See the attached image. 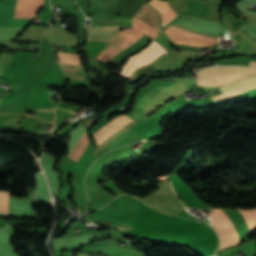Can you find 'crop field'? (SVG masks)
I'll return each mask as SVG.
<instances>
[{"label":"crop field","mask_w":256,"mask_h":256,"mask_svg":"<svg viewBox=\"0 0 256 256\" xmlns=\"http://www.w3.org/2000/svg\"><path fill=\"white\" fill-rule=\"evenodd\" d=\"M221 217L226 216L223 209L217 210ZM214 211L210 213V219L213 223V227L220 237V248L219 250L226 249L228 247L238 245V234L230 219L226 216L221 218L220 215ZM247 220L251 231L256 229V209L250 211L240 210ZM218 250V251H219Z\"/></svg>","instance_id":"crop-field-1"},{"label":"crop field","mask_w":256,"mask_h":256,"mask_svg":"<svg viewBox=\"0 0 256 256\" xmlns=\"http://www.w3.org/2000/svg\"><path fill=\"white\" fill-rule=\"evenodd\" d=\"M222 73H241L251 75L256 73V69L248 68V67H237V66H224V67H211L205 68L197 73H195L196 80L203 79L212 74H222ZM246 75L240 74H222V75H213L207 77L197 83L199 85H207V86H216L218 84H227L231 81L244 77Z\"/></svg>","instance_id":"crop-field-2"},{"label":"crop field","mask_w":256,"mask_h":256,"mask_svg":"<svg viewBox=\"0 0 256 256\" xmlns=\"http://www.w3.org/2000/svg\"><path fill=\"white\" fill-rule=\"evenodd\" d=\"M165 87H156L153 90H151L148 94H146L141 101L137 104L136 109L139 110H143V108L146 106V104L162 89H164ZM185 88L184 85L177 83L174 84L162 91H160L149 103L148 105L145 107L144 112L150 114L152 113L154 110H156L157 105L162 102L166 97H168L169 95H171L172 93ZM187 91V88L182 89L174 94H172L171 96H169L168 98H166L161 104L165 103L166 101H168L169 99L175 97L176 95ZM159 104V106L161 105ZM158 106V107H159Z\"/></svg>","instance_id":"crop-field-3"},{"label":"crop field","mask_w":256,"mask_h":256,"mask_svg":"<svg viewBox=\"0 0 256 256\" xmlns=\"http://www.w3.org/2000/svg\"><path fill=\"white\" fill-rule=\"evenodd\" d=\"M131 119L127 118L125 115H122L120 117H116L114 120H112L110 123H108L106 126L101 128L99 131H97L95 134H93V138L96 141L97 145H100L104 140L109 138L111 135H113L115 132H117L119 129H121L123 126H125L127 123H129ZM138 122L132 121L128 125H126L124 128H122L120 131H118L116 134H114L112 137L104 141L96 150L94 153V156L103 149L109 142H111L113 139L118 137L120 134L125 132L128 128H130L132 125L136 124Z\"/></svg>","instance_id":"crop-field-4"},{"label":"crop field","mask_w":256,"mask_h":256,"mask_svg":"<svg viewBox=\"0 0 256 256\" xmlns=\"http://www.w3.org/2000/svg\"><path fill=\"white\" fill-rule=\"evenodd\" d=\"M166 52L167 51L160 44H158L156 41L153 40L147 48L131 56L127 60L121 73L130 77L132 72L136 68L153 61L158 56Z\"/></svg>","instance_id":"crop-field-5"},{"label":"crop field","mask_w":256,"mask_h":256,"mask_svg":"<svg viewBox=\"0 0 256 256\" xmlns=\"http://www.w3.org/2000/svg\"><path fill=\"white\" fill-rule=\"evenodd\" d=\"M253 81H256V75L255 76H250V77H248L246 79H242V80H239V81H237L235 83H232V84H229L227 86H224V87L220 88V91L225 93V92H227L229 90H232L234 88L240 87L242 85L248 84V83L253 82ZM252 88H256V82H253L251 84H248V85H245L243 87L237 88L235 90L229 91V92H227L225 94L212 97L211 99L213 101L227 99V98L233 97L235 95H238V94H240L242 92H245V91H247L249 89H252Z\"/></svg>","instance_id":"crop-field-6"},{"label":"crop field","mask_w":256,"mask_h":256,"mask_svg":"<svg viewBox=\"0 0 256 256\" xmlns=\"http://www.w3.org/2000/svg\"><path fill=\"white\" fill-rule=\"evenodd\" d=\"M44 0H16L14 18H35Z\"/></svg>","instance_id":"crop-field-7"},{"label":"crop field","mask_w":256,"mask_h":256,"mask_svg":"<svg viewBox=\"0 0 256 256\" xmlns=\"http://www.w3.org/2000/svg\"><path fill=\"white\" fill-rule=\"evenodd\" d=\"M120 27H99L98 30L95 28H86L88 40H102L110 42L112 38L118 33Z\"/></svg>","instance_id":"crop-field-8"},{"label":"crop field","mask_w":256,"mask_h":256,"mask_svg":"<svg viewBox=\"0 0 256 256\" xmlns=\"http://www.w3.org/2000/svg\"><path fill=\"white\" fill-rule=\"evenodd\" d=\"M135 17L146 21L158 33L161 32L160 19H159L158 14L153 9H151L149 6H147L146 4L140 9V11L137 13V15Z\"/></svg>","instance_id":"crop-field-9"},{"label":"crop field","mask_w":256,"mask_h":256,"mask_svg":"<svg viewBox=\"0 0 256 256\" xmlns=\"http://www.w3.org/2000/svg\"><path fill=\"white\" fill-rule=\"evenodd\" d=\"M150 6L155 8L161 16L162 26L172 20L177 14L169 7L167 2H161L159 0H151L148 2Z\"/></svg>","instance_id":"crop-field-10"},{"label":"crop field","mask_w":256,"mask_h":256,"mask_svg":"<svg viewBox=\"0 0 256 256\" xmlns=\"http://www.w3.org/2000/svg\"><path fill=\"white\" fill-rule=\"evenodd\" d=\"M56 52H57V56L59 59L58 63L81 65V59H80L79 55L62 53V52H58V51H56Z\"/></svg>","instance_id":"crop-field-11"},{"label":"crop field","mask_w":256,"mask_h":256,"mask_svg":"<svg viewBox=\"0 0 256 256\" xmlns=\"http://www.w3.org/2000/svg\"><path fill=\"white\" fill-rule=\"evenodd\" d=\"M64 74L68 78L83 79L81 75V66L63 65L59 64ZM84 80V79H83Z\"/></svg>","instance_id":"crop-field-12"},{"label":"crop field","mask_w":256,"mask_h":256,"mask_svg":"<svg viewBox=\"0 0 256 256\" xmlns=\"http://www.w3.org/2000/svg\"><path fill=\"white\" fill-rule=\"evenodd\" d=\"M0 213L10 214L9 192L0 191Z\"/></svg>","instance_id":"crop-field-13"},{"label":"crop field","mask_w":256,"mask_h":256,"mask_svg":"<svg viewBox=\"0 0 256 256\" xmlns=\"http://www.w3.org/2000/svg\"><path fill=\"white\" fill-rule=\"evenodd\" d=\"M125 39H123L121 36H117L113 41L112 44L118 46L120 43H122Z\"/></svg>","instance_id":"crop-field-14"},{"label":"crop field","mask_w":256,"mask_h":256,"mask_svg":"<svg viewBox=\"0 0 256 256\" xmlns=\"http://www.w3.org/2000/svg\"><path fill=\"white\" fill-rule=\"evenodd\" d=\"M176 40L180 37L177 33H175L171 28L167 30ZM213 44V43H211ZM210 45V44H209Z\"/></svg>","instance_id":"crop-field-15"},{"label":"crop field","mask_w":256,"mask_h":256,"mask_svg":"<svg viewBox=\"0 0 256 256\" xmlns=\"http://www.w3.org/2000/svg\"><path fill=\"white\" fill-rule=\"evenodd\" d=\"M77 256H91L90 254H80L78 253Z\"/></svg>","instance_id":"crop-field-16"},{"label":"crop field","mask_w":256,"mask_h":256,"mask_svg":"<svg viewBox=\"0 0 256 256\" xmlns=\"http://www.w3.org/2000/svg\"><path fill=\"white\" fill-rule=\"evenodd\" d=\"M250 66H254V67H256V62H250Z\"/></svg>","instance_id":"crop-field-17"}]
</instances>
